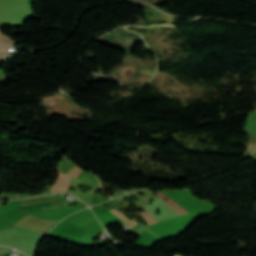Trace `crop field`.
I'll use <instances>...</instances> for the list:
<instances>
[{
    "label": "crop field",
    "instance_id": "obj_6",
    "mask_svg": "<svg viewBox=\"0 0 256 256\" xmlns=\"http://www.w3.org/2000/svg\"><path fill=\"white\" fill-rule=\"evenodd\" d=\"M4 55H5V54H0V59H3V58H4Z\"/></svg>",
    "mask_w": 256,
    "mask_h": 256
},
{
    "label": "crop field",
    "instance_id": "obj_5",
    "mask_svg": "<svg viewBox=\"0 0 256 256\" xmlns=\"http://www.w3.org/2000/svg\"><path fill=\"white\" fill-rule=\"evenodd\" d=\"M1 198L16 199L19 198L18 194L2 193Z\"/></svg>",
    "mask_w": 256,
    "mask_h": 256
},
{
    "label": "crop field",
    "instance_id": "obj_4",
    "mask_svg": "<svg viewBox=\"0 0 256 256\" xmlns=\"http://www.w3.org/2000/svg\"><path fill=\"white\" fill-rule=\"evenodd\" d=\"M140 215L147 221L148 225L157 222V220L148 211L142 212Z\"/></svg>",
    "mask_w": 256,
    "mask_h": 256
},
{
    "label": "crop field",
    "instance_id": "obj_1",
    "mask_svg": "<svg viewBox=\"0 0 256 256\" xmlns=\"http://www.w3.org/2000/svg\"><path fill=\"white\" fill-rule=\"evenodd\" d=\"M60 177L66 179L69 181V178L68 176L64 175V174H61L59 175ZM57 180L56 184L51 188V192L52 193H58V192H67V188L69 186V182L60 178Z\"/></svg>",
    "mask_w": 256,
    "mask_h": 256
},
{
    "label": "crop field",
    "instance_id": "obj_2",
    "mask_svg": "<svg viewBox=\"0 0 256 256\" xmlns=\"http://www.w3.org/2000/svg\"><path fill=\"white\" fill-rule=\"evenodd\" d=\"M125 225L131 227L133 224H135L136 222L129 220L125 215H123L122 213H119L117 211L113 212ZM146 226H144L141 223H136L134 226H132L131 228L135 229L136 231H140L141 229L145 228Z\"/></svg>",
    "mask_w": 256,
    "mask_h": 256
},
{
    "label": "crop field",
    "instance_id": "obj_3",
    "mask_svg": "<svg viewBox=\"0 0 256 256\" xmlns=\"http://www.w3.org/2000/svg\"><path fill=\"white\" fill-rule=\"evenodd\" d=\"M158 196H160L161 198H166V196L164 195V194H162V193H159L158 194ZM169 199V198H168ZM167 203H169L171 206H173L175 209H177L179 212H181L182 214H186L187 212H185L182 208H180L176 203H174L172 200H168V201H166ZM176 210V211H177ZM177 211V212H178ZM180 213V214H181ZM181 214V215H182Z\"/></svg>",
    "mask_w": 256,
    "mask_h": 256
}]
</instances>
